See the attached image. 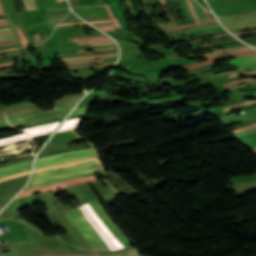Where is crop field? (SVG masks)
<instances>
[{
    "mask_svg": "<svg viewBox=\"0 0 256 256\" xmlns=\"http://www.w3.org/2000/svg\"><path fill=\"white\" fill-rule=\"evenodd\" d=\"M99 161H90L81 164L71 165L59 169L33 174L32 180L26 188L36 187L44 184L54 183L63 179L74 178L96 172H101ZM25 188V189H26Z\"/></svg>",
    "mask_w": 256,
    "mask_h": 256,
    "instance_id": "8a807250",
    "label": "crop field"
},
{
    "mask_svg": "<svg viewBox=\"0 0 256 256\" xmlns=\"http://www.w3.org/2000/svg\"><path fill=\"white\" fill-rule=\"evenodd\" d=\"M97 206V208L100 210V212L102 213V215L105 217V219L107 220L108 224L118 233V235L125 241H124L115 233V231L107 224V222L105 221V219L101 216L100 212L98 211V209L95 207V205ZM95 210L96 214L98 215V217L102 220V222L106 225V227L111 231V233L123 244V246L115 239V237L109 232V230L103 225V223L100 221V219L96 216V214L93 212V210L90 208V206ZM82 207H80V209L82 210V212L84 213L86 219L91 223V225L96 229L97 233L99 234V236L106 242V244L108 245V247L110 248V250H116V249H120L123 247H126L128 245H131V243L126 239V237L121 233V231L113 224V222L107 217V215L104 213V211L102 210V208L100 207V205L98 204L97 201L95 202H90ZM98 223V225L104 230V232L108 235V237L111 239V241L114 243V245L117 247H115L112 242L109 240V238L106 236V234L101 230V228L94 222V220Z\"/></svg>",
    "mask_w": 256,
    "mask_h": 256,
    "instance_id": "ac0d7876",
    "label": "crop field"
},
{
    "mask_svg": "<svg viewBox=\"0 0 256 256\" xmlns=\"http://www.w3.org/2000/svg\"><path fill=\"white\" fill-rule=\"evenodd\" d=\"M77 101L65 102L54 106V110L43 112L40 108L7 115L11 125L18 127L29 123L46 121L65 116Z\"/></svg>",
    "mask_w": 256,
    "mask_h": 256,
    "instance_id": "34b2d1b8",
    "label": "crop field"
},
{
    "mask_svg": "<svg viewBox=\"0 0 256 256\" xmlns=\"http://www.w3.org/2000/svg\"><path fill=\"white\" fill-rule=\"evenodd\" d=\"M70 220L79 228L92 250H109L95 229L85 219L79 208L65 212Z\"/></svg>",
    "mask_w": 256,
    "mask_h": 256,
    "instance_id": "412701ff",
    "label": "crop field"
},
{
    "mask_svg": "<svg viewBox=\"0 0 256 256\" xmlns=\"http://www.w3.org/2000/svg\"><path fill=\"white\" fill-rule=\"evenodd\" d=\"M68 154H72V155L58 157V156L68 155ZM93 154H96V152H95L94 148L92 147V148H86V149H79V150H75V151H71V152L54 154V155H50V156L43 157V158H38L35 161V169L40 168V167H45V166H50V165H55V164H60V163H64V162L87 158Z\"/></svg>",
    "mask_w": 256,
    "mask_h": 256,
    "instance_id": "f4fd0767",
    "label": "crop field"
},
{
    "mask_svg": "<svg viewBox=\"0 0 256 256\" xmlns=\"http://www.w3.org/2000/svg\"><path fill=\"white\" fill-rule=\"evenodd\" d=\"M251 55H256V51L251 50V51H245V52H239V53H233V54H224V55L213 57L211 59H207L204 62L193 63L189 66H185V68L193 69V68L201 67V66L216 62V61L224 59V58H229L231 56L242 57V56H251Z\"/></svg>",
    "mask_w": 256,
    "mask_h": 256,
    "instance_id": "dd49c442",
    "label": "crop field"
},
{
    "mask_svg": "<svg viewBox=\"0 0 256 256\" xmlns=\"http://www.w3.org/2000/svg\"><path fill=\"white\" fill-rule=\"evenodd\" d=\"M31 169V161L10 165V166H4L0 167V178L3 176L27 171Z\"/></svg>",
    "mask_w": 256,
    "mask_h": 256,
    "instance_id": "e52e79f7",
    "label": "crop field"
},
{
    "mask_svg": "<svg viewBox=\"0 0 256 256\" xmlns=\"http://www.w3.org/2000/svg\"><path fill=\"white\" fill-rule=\"evenodd\" d=\"M59 123L60 122L50 123V124H46V125H42L34 128L24 129V131L29 135V137H32V136L53 131Z\"/></svg>",
    "mask_w": 256,
    "mask_h": 256,
    "instance_id": "d8731c3e",
    "label": "crop field"
},
{
    "mask_svg": "<svg viewBox=\"0 0 256 256\" xmlns=\"http://www.w3.org/2000/svg\"><path fill=\"white\" fill-rule=\"evenodd\" d=\"M187 1H188V4H189V7H190V9H191V12H192V14H193V16H194V18H195L196 23H195V24H191V25L186 26V27L179 28V29H177V30H171V31H165V32H167V33L176 32V31H181V30H185V29H188V28H192V27H195V26H198V25L212 24V23H216V22H217L216 19L211 20L210 17H209V15H208L207 10H205V9L203 8L204 13H205V15H206L208 21L199 23V21H198V19H197V17H196V14H195V12H194V9H193V7H192L191 1H190V0H187Z\"/></svg>",
    "mask_w": 256,
    "mask_h": 256,
    "instance_id": "5a996713",
    "label": "crop field"
},
{
    "mask_svg": "<svg viewBox=\"0 0 256 256\" xmlns=\"http://www.w3.org/2000/svg\"><path fill=\"white\" fill-rule=\"evenodd\" d=\"M252 48L248 47V46H241V47H230V48H224V49H220L211 53H205V54H201L200 56H204V57H212V56H216L225 52H235V51H243V50H251Z\"/></svg>",
    "mask_w": 256,
    "mask_h": 256,
    "instance_id": "3316defc",
    "label": "crop field"
},
{
    "mask_svg": "<svg viewBox=\"0 0 256 256\" xmlns=\"http://www.w3.org/2000/svg\"><path fill=\"white\" fill-rule=\"evenodd\" d=\"M218 26H220L219 23L213 24V25L199 26V27L192 28V29L185 30V31H181V32L167 34V36L169 38L178 37V36H182V35H185V34H188V33H191V32H195V31H198V30H202V29H206V28H212V27H218Z\"/></svg>",
    "mask_w": 256,
    "mask_h": 256,
    "instance_id": "28ad6ade",
    "label": "crop field"
},
{
    "mask_svg": "<svg viewBox=\"0 0 256 256\" xmlns=\"http://www.w3.org/2000/svg\"><path fill=\"white\" fill-rule=\"evenodd\" d=\"M51 42V51H39L42 53H48V54H59V40L56 34V30L53 33L51 37H49Z\"/></svg>",
    "mask_w": 256,
    "mask_h": 256,
    "instance_id": "d1516ede",
    "label": "crop field"
},
{
    "mask_svg": "<svg viewBox=\"0 0 256 256\" xmlns=\"http://www.w3.org/2000/svg\"><path fill=\"white\" fill-rule=\"evenodd\" d=\"M237 67H241L240 69L236 70V71H244V70H253L256 69V63H251V64H243V65H236ZM236 71H227V72H221V73H217V74H213V75H209L210 77L214 78L216 76H220V75H224V74H228V73H232V72H236Z\"/></svg>",
    "mask_w": 256,
    "mask_h": 256,
    "instance_id": "22f410ed",
    "label": "crop field"
},
{
    "mask_svg": "<svg viewBox=\"0 0 256 256\" xmlns=\"http://www.w3.org/2000/svg\"><path fill=\"white\" fill-rule=\"evenodd\" d=\"M250 62H256V56L252 57H244V58H234L232 60H229V64H240V63H250Z\"/></svg>",
    "mask_w": 256,
    "mask_h": 256,
    "instance_id": "cbeb9de0",
    "label": "crop field"
},
{
    "mask_svg": "<svg viewBox=\"0 0 256 256\" xmlns=\"http://www.w3.org/2000/svg\"><path fill=\"white\" fill-rule=\"evenodd\" d=\"M95 159H97V156L93 157V158L84 159V160H79V161L64 163V164H60V165H55V166L36 169L35 172H39V171H43V170H47V169H51V168H56V167H61V166H65V165H70V164H74V163L84 162V161H88V160H95Z\"/></svg>",
    "mask_w": 256,
    "mask_h": 256,
    "instance_id": "5142ce71",
    "label": "crop field"
},
{
    "mask_svg": "<svg viewBox=\"0 0 256 256\" xmlns=\"http://www.w3.org/2000/svg\"><path fill=\"white\" fill-rule=\"evenodd\" d=\"M81 118H82V117H81ZM81 118H77V119H72V120L66 121V122L59 128L58 131H62V130H65V129L74 128L75 125L77 124V122H78Z\"/></svg>",
    "mask_w": 256,
    "mask_h": 256,
    "instance_id": "d9b57169",
    "label": "crop field"
},
{
    "mask_svg": "<svg viewBox=\"0 0 256 256\" xmlns=\"http://www.w3.org/2000/svg\"><path fill=\"white\" fill-rule=\"evenodd\" d=\"M25 138H27L26 134L22 133V134H19L17 136H14V137L1 139L0 140V145L5 144V143H9V142H13V141H17V140H21V139H25Z\"/></svg>",
    "mask_w": 256,
    "mask_h": 256,
    "instance_id": "733c2abd",
    "label": "crop field"
},
{
    "mask_svg": "<svg viewBox=\"0 0 256 256\" xmlns=\"http://www.w3.org/2000/svg\"><path fill=\"white\" fill-rule=\"evenodd\" d=\"M99 256H140L139 252L136 248L131 249L129 251L119 253V254H114V255H99Z\"/></svg>",
    "mask_w": 256,
    "mask_h": 256,
    "instance_id": "4a817a6b",
    "label": "crop field"
},
{
    "mask_svg": "<svg viewBox=\"0 0 256 256\" xmlns=\"http://www.w3.org/2000/svg\"><path fill=\"white\" fill-rule=\"evenodd\" d=\"M193 5H194V9H195V12H196V14L198 16L199 21L200 22L201 21H205L206 18H205V15L203 13L202 8L198 4H193Z\"/></svg>",
    "mask_w": 256,
    "mask_h": 256,
    "instance_id": "bc2a9ffb",
    "label": "crop field"
},
{
    "mask_svg": "<svg viewBox=\"0 0 256 256\" xmlns=\"http://www.w3.org/2000/svg\"><path fill=\"white\" fill-rule=\"evenodd\" d=\"M26 10L37 9L34 0H23Z\"/></svg>",
    "mask_w": 256,
    "mask_h": 256,
    "instance_id": "214f88e0",
    "label": "crop field"
},
{
    "mask_svg": "<svg viewBox=\"0 0 256 256\" xmlns=\"http://www.w3.org/2000/svg\"><path fill=\"white\" fill-rule=\"evenodd\" d=\"M228 36H231V35L230 34H224V35L209 36V37H204V38H201V39L193 40V41H190V42H186V44L190 45V44H193V43H196L198 41H201V40H204V39H208V38L228 37Z\"/></svg>",
    "mask_w": 256,
    "mask_h": 256,
    "instance_id": "92a150f3",
    "label": "crop field"
},
{
    "mask_svg": "<svg viewBox=\"0 0 256 256\" xmlns=\"http://www.w3.org/2000/svg\"><path fill=\"white\" fill-rule=\"evenodd\" d=\"M89 106L87 107H79V108H75V110L72 112L71 115H74V114H82V113H86L87 110H88Z\"/></svg>",
    "mask_w": 256,
    "mask_h": 256,
    "instance_id": "dafd665d",
    "label": "crop field"
},
{
    "mask_svg": "<svg viewBox=\"0 0 256 256\" xmlns=\"http://www.w3.org/2000/svg\"><path fill=\"white\" fill-rule=\"evenodd\" d=\"M8 127H11V126L7 123L5 116L0 117V129H4Z\"/></svg>",
    "mask_w": 256,
    "mask_h": 256,
    "instance_id": "00972430",
    "label": "crop field"
},
{
    "mask_svg": "<svg viewBox=\"0 0 256 256\" xmlns=\"http://www.w3.org/2000/svg\"><path fill=\"white\" fill-rule=\"evenodd\" d=\"M28 173H30V171L24 172V173H20V174H16V175H12V176H8V177H4V178L0 179V182L4 181V180H9V179L17 178V177H20V176H24V175H26Z\"/></svg>",
    "mask_w": 256,
    "mask_h": 256,
    "instance_id": "a9b5d70f",
    "label": "crop field"
},
{
    "mask_svg": "<svg viewBox=\"0 0 256 256\" xmlns=\"http://www.w3.org/2000/svg\"><path fill=\"white\" fill-rule=\"evenodd\" d=\"M87 21H95V20H106L110 19V16H103V17H89V18H84Z\"/></svg>",
    "mask_w": 256,
    "mask_h": 256,
    "instance_id": "4177f3b9",
    "label": "crop field"
},
{
    "mask_svg": "<svg viewBox=\"0 0 256 256\" xmlns=\"http://www.w3.org/2000/svg\"><path fill=\"white\" fill-rule=\"evenodd\" d=\"M113 26H114L113 24H110V25H102V26H97V27L103 31H107V30L115 29Z\"/></svg>",
    "mask_w": 256,
    "mask_h": 256,
    "instance_id": "730fd06b",
    "label": "crop field"
},
{
    "mask_svg": "<svg viewBox=\"0 0 256 256\" xmlns=\"http://www.w3.org/2000/svg\"><path fill=\"white\" fill-rule=\"evenodd\" d=\"M15 27H16V29H17V31H18L20 37H21V41H22L23 47L26 46V45H27V40H26V38H24V36H23L22 32L20 31V29L18 28V26H15Z\"/></svg>",
    "mask_w": 256,
    "mask_h": 256,
    "instance_id": "eef30255",
    "label": "crop field"
},
{
    "mask_svg": "<svg viewBox=\"0 0 256 256\" xmlns=\"http://www.w3.org/2000/svg\"><path fill=\"white\" fill-rule=\"evenodd\" d=\"M161 3H162V6H163V8H164V10H165V12H166V14H167V16L170 18V20L172 21L173 25H175V23H174V21H173L171 15H170V13L168 12V10H167V8H166V5H165L164 0H161Z\"/></svg>",
    "mask_w": 256,
    "mask_h": 256,
    "instance_id": "ae1a2a85",
    "label": "crop field"
},
{
    "mask_svg": "<svg viewBox=\"0 0 256 256\" xmlns=\"http://www.w3.org/2000/svg\"><path fill=\"white\" fill-rule=\"evenodd\" d=\"M254 79L253 78H249V79H243V80H237V81H234V82H231V83H228V84H224L226 87L230 86V85H233V84H236V83H240V82H243V81H253Z\"/></svg>",
    "mask_w": 256,
    "mask_h": 256,
    "instance_id": "d3111659",
    "label": "crop field"
},
{
    "mask_svg": "<svg viewBox=\"0 0 256 256\" xmlns=\"http://www.w3.org/2000/svg\"><path fill=\"white\" fill-rule=\"evenodd\" d=\"M254 73H256V71L237 72V73L229 74V76L232 77V76H236V75H239V74H254Z\"/></svg>",
    "mask_w": 256,
    "mask_h": 256,
    "instance_id": "750c4746",
    "label": "crop field"
},
{
    "mask_svg": "<svg viewBox=\"0 0 256 256\" xmlns=\"http://www.w3.org/2000/svg\"><path fill=\"white\" fill-rule=\"evenodd\" d=\"M21 222H23L25 225H27V226L33 228L34 230L38 231L39 233H41L40 229L36 228L35 226H33L32 224L28 223L27 221L23 220Z\"/></svg>",
    "mask_w": 256,
    "mask_h": 256,
    "instance_id": "bd1437ed",
    "label": "crop field"
},
{
    "mask_svg": "<svg viewBox=\"0 0 256 256\" xmlns=\"http://www.w3.org/2000/svg\"><path fill=\"white\" fill-rule=\"evenodd\" d=\"M253 125H256V124H253ZM253 125H251V126H253ZM253 127H255V126H253ZM249 128H252V127L246 126V127L241 128V129L231 130V133H236V132L243 131V130H246V129H249Z\"/></svg>",
    "mask_w": 256,
    "mask_h": 256,
    "instance_id": "1d83c4d3",
    "label": "crop field"
},
{
    "mask_svg": "<svg viewBox=\"0 0 256 256\" xmlns=\"http://www.w3.org/2000/svg\"><path fill=\"white\" fill-rule=\"evenodd\" d=\"M109 57H117V55L108 56V57H97V58H109ZM97 58H90V59H97ZM90 59H75V60H66V61H79V60H90ZM66 61H63V62H66Z\"/></svg>",
    "mask_w": 256,
    "mask_h": 256,
    "instance_id": "120bbe31",
    "label": "crop field"
},
{
    "mask_svg": "<svg viewBox=\"0 0 256 256\" xmlns=\"http://www.w3.org/2000/svg\"><path fill=\"white\" fill-rule=\"evenodd\" d=\"M113 40H107V41H90V42H81L79 45H84V44H91V43H99V42H109Z\"/></svg>",
    "mask_w": 256,
    "mask_h": 256,
    "instance_id": "d32e631a",
    "label": "crop field"
},
{
    "mask_svg": "<svg viewBox=\"0 0 256 256\" xmlns=\"http://www.w3.org/2000/svg\"><path fill=\"white\" fill-rule=\"evenodd\" d=\"M33 37H34V43H35V45H38L39 43H41V41H40V38H39V35L37 34V35H33Z\"/></svg>",
    "mask_w": 256,
    "mask_h": 256,
    "instance_id": "5866460e",
    "label": "crop field"
},
{
    "mask_svg": "<svg viewBox=\"0 0 256 256\" xmlns=\"http://www.w3.org/2000/svg\"><path fill=\"white\" fill-rule=\"evenodd\" d=\"M239 106H242V104H241V103H239V104L234 105V106H231V107L223 108V110H224V112H225V111H228V110H231V109L237 108V107H239Z\"/></svg>",
    "mask_w": 256,
    "mask_h": 256,
    "instance_id": "028f5c9d",
    "label": "crop field"
},
{
    "mask_svg": "<svg viewBox=\"0 0 256 256\" xmlns=\"http://www.w3.org/2000/svg\"><path fill=\"white\" fill-rule=\"evenodd\" d=\"M97 35H104V34H97ZM90 36H96V35H89V36H87V35H82V36H74V37H90ZM70 38H72V37H70ZM60 39H68V37H62V38H60Z\"/></svg>",
    "mask_w": 256,
    "mask_h": 256,
    "instance_id": "e1f06a70",
    "label": "crop field"
},
{
    "mask_svg": "<svg viewBox=\"0 0 256 256\" xmlns=\"http://www.w3.org/2000/svg\"><path fill=\"white\" fill-rule=\"evenodd\" d=\"M20 28H21V30H22V32H23V34H24V36H26V38H27V40H28V45H31V43H30V39H29V37H28V35H27L26 31H25L22 27H20Z\"/></svg>",
    "mask_w": 256,
    "mask_h": 256,
    "instance_id": "0bd39190",
    "label": "crop field"
},
{
    "mask_svg": "<svg viewBox=\"0 0 256 256\" xmlns=\"http://www.w3.org/2000/svg\"><path fill=\"white\" fill-rule=\"evenodd\" d=\"M184 2H185V5H186V8H187V11H188V13H189L190 19H191L192 22L194 23V20H193V18H192V14H191V12H190V10H189V8H188V5H187L186 0H184Z\"/></svg>",
    "mask_w": 256,
    "mask_h": 256,
    "instance_id": "b80d0937",
    "label": "crop field"
},
{
    "mask_svg": "<svg viewBox=\"0 0 256 256\" xmlns=\"http://www.w3.org/2000/svg\"><path fill=\"white\" fill-rule=\"evenodd\" d=\"M106 36H97V37H91V38H73V39H70V40H78V39H92V38H104Z\"/></svg>",
    "mask_w": 256,
    "mask_h": 256,
    "instance_id": "c035e120",
    "label": "crop field"
},
{
    "mask_svg": "<svg viewBox=\"0 0 256 256\" xmlns=\"http://www.w3.org/2000/svg\"><path fill=\"white\" fill-rule=\"evenodd\" d=\"M255 32H256V30L255 31H246V32H236L234 34L235 35H240V34L255 33Z\"/></svg>",
    "mask_w": 256,
    "mask_h": 256,
    "instance_id": "c21b1889",
    "label": "crop field"
},
{
    "mask_svg": "<svg viewBox=\"0 0 256 256\" xmlns=\"http://www.w3.org/2000/svg\"><path fill=\"white\" fill-rule=\"evenodd\" d=\"M108 64H114V63H105L102 65H108ZM86 66H100V65H85V66H73V67H86ZM66 68H71V67H66Z\"/></svg>",
    "mask_w": 256,
    "mask_h": 256,
    "instance_id": "03da06ac",
    "label": "crop field"
},
{
    "mask_svg": "<svg viewBox=\"0 0 256 256\" xmlns=\"http://www.w3.org/2000/svg\"><path fill=\"white\" fill-rule=\"evenodd\" d=\"M85 22H78V23H65V24H58V26L61 25H69V24H84Z\"/></svg>",
    "mask_w": 256,
    "mask_h": 256,
    "instance_id": "b54c1fbb",
    "label": "crop field"
},
{
    "mask_svg": "<svg viewBox=\"0 0 256 256\" xmlns=\"http://www.w3.org/2000/svg\"><path fill=\"white\" fill-rule=\"evenodd\" d=\"M253 103H256V101H246V102H243L242 104L249 105V104H253Z\"/></svg>",
    "mask_w": 256,
    "mask_h": 256,
    "instance_id": "5d738f31",
    "label": "crop field"
},
{
    "mask_svg": "<svg viewBox=\"0 0 256 256\" xmlns=\"http://www.w3.org/2000/svg\"><path fill=\"white\" fill-rule=\"evenodd\" d=\"M114 48H117V47H114ZM114 48H101V49H114ZM87 50H99V49H87ZM87 50H80V51H87ZM80 51H77V52H80Z\"/></svg>",
    "mask_w": 256,
    "mask_h": 256,
    "instance_id": "d23c7cc5",
    "label": "crop field"
},
{
    "mask_svg": "<svg viewBox=\"0 0 256 256\" xmlns=\"http://www.w3.org/2000/svg\"><path fill=\"white\" fill-rule=\"evenodd\" d=\"M107 39H110V38H105V39H92V40H107ZM79 41H88V40H78V41H73V42H79Z\"/></svg>",
    "mask_w": 256,
    "mask_h": 256,
    "instance_id": "425ffa30",
    "label": "crop field"
},
{
    "mask_svg": "<svg viewBox=\"0 0 256 256\" xmlns=\"http://www.w3.org/2000/svg\"><path fill=\"white\" fill-rule=\"evenodd\" d=\"M94 61H102V60H94ZM79 62H92V61H79ZM79 62H68L66 64H70V63H79Z\"/></svg>",
    "mask_w": 256,
    "mask_h": 256,
    "instance_id": "25e5ab78",
    "label": "crop field"
},
{
    "mask_svg": "<svg viewBox=\"0 0 256 256\" xmlns=\"http://www.w3.org/2000/svg\"><path fill=\"white\" fill-rule=\"evenodd\" d=\"M107 44H115V43H101V44H93V45H90V46H94V45H107Z\"/></svg>",
    "mask_w": 256,
    "mask_h": 256,
    "instance_id": "73cf0c24",
    "label": "crop field"
},
{
    "mask_svg": "<svg viewBox=\"0 0 256 256\" xmlns=\"http://www.w3.org/2000/svg\"><path fill=\"white\" fill-rule=\"evenodd\" d=\"M108 21H112V20H107V21H96V22H90V23H100V22H108Z\"/></svg>",
    "mask_w": 256,
    "mask_h": 256,
    "instance_id": "89e229c0",
    "label": "crop field"
},
{
    "mask_svg": "<svg viewBox=\"0 0 256 256\" xmlns=\"http://www.w3.org/2000/svg\"><path fill=\"white\" fill-rule=\"evenodd\" d=\"M0 14H4L1 4H0Z\"/></svg>",
    "mask_w": 256,
    "mask_h": 256,
    "instance_id": "1f2cbd36",
    "label": "crop field"
},
{
    "mask_svg": "<svg viewBox=\"0 0 256 256\" xmlns=\"http://www.w3.org/2000/svg\"><path fill=\"white\" fill-rule=\"evenodd\" d=\"M207 2L209 3V5L214 4L212 0H207Z\"/></svg>",
    "mask_w": 256,
    "mask_h": 256,
    "instance_id": "dbb93151",
    "label": "crop field"
},
{
    "mask_svg": "<svg viewBox=\"0 0 256 256\" xmlns=\"http://www.w3.org/2000/svg\"><path fill=\"white\" fill-rule=\"evenodd\" d=\"M16 38H13V39H9V40H0V42H3V41H10V40H15Z\"/></svg>",
    "mask_w": 256,
    "mask_h": 256,
    "instance_id": "0fb4a251",
    "label": "crop field"
},
{
    "mask_svg": "<svg viewBox=\"0 0 256 256\" xmlns=\"http://www.w3.org/2000/svg\"><path fill=\"white\" fill-rule=\"evenodd\" d=\"M250 93L256 92V89L249 90Z\"/></svg>",
    "mask_w": 256,
    "mask_h": 256,
    "instance_id": "1d79db26",
    "label": "crop field"
},
{
    "mask_svg": "<svg viewBox=\"0 0 256 256\" xmlns=\"http://www.w3.org/2000/svg\"><path fill=\"white\" fill-rule=\"evenodd\" d=\"M12 35H14V34H10V35H4V36H0V37H6V36H12Z\"/></svg>",
    "mask_w": 256,
    "mask_h": 256,
    "instance_id": "9d1cf04e",
    "label": "crop field"
},
{
    "mask_svg": "<svg viewBox=\"0 0 256 256\" xmlns=\"http://www.w3.org/2000/svg\"><path fill=\"white\" fill-rule=\"evenodd\" d=\"M15 51H18V50H15ZM8 52H14V51H8ZM8 52H1V53H8ZM1 53H0V54H1Z\"/></svg>",
    "mask_w": 256,
    "mask_h": 256,
    "instance_id": "447ae74e",
    "label": "crop field"
},
{
    "mask_svg": "<svg viewBox=\"0 0 256 256\" xmlns=\"http://www.w3.org/2000/svg\"><path fill=\"white\" fill-rule=\"evenodd\" d=\"M252 151L255 153V155H256V149H252Z\"/></svg>",
    "mask_w": 256,
    "mask_h": 256,
    "instance_id": "0765c3eb",
    "label": "crop field"
},
{
    "mask_svg": "<svg viewBox=\"0 0 256 256\" xmlns=\"http://www.w3.org/2000/svg\"><path fill=\"white\" fill-rule=\"evenodd\" d=\"M13 37H15V36H12V37H8V38H13ZM0 39H7V38H0Z\"/></svg>",
    "mask_w": 256,
    "mask_h": 256,
    "instance_id": "db79e9e6",
    "label": "crop field"
},
{
    "mask_svg": "<svg viewBox=\"0 0 256 256\" xmlns=\"http://www.w3.org/2000/svg\"><path fill=\"white\" fill-rule=\"evenodd\" d=\"M12 64V63H11ZM8 65H10V64H7V65H1L0 67H3V66H8Z\"/></svg>",
    "mask_w": 256,
    "mask_h": 256,
    "instance_id": "7b73153f",
    "label": "crop field"
},
{
    "mask_svg": "<svg viewBox=\"0 0 256 256\" xmlns=\"http://www.w3.org/2000/svg\"><path fill=\"white\" fill-rule=\"evenodd\" d=\"M44 256H47V255H44ZM89 256H98V255H89Z\"/></svg>",
    "mask_w": 256,
    "mask_h": 256,
    "instance_id": "78b8030e",
    "label": "crop field"
},
{
    "mask_svg": "<svg viewBox=\"0 0 256 256\" xmlns=\"http://www.w3.org/2000/svg\"><path fill=\"white\" fill-rule=\"evenodd\" d=\"M252 96H256V93L251 94Z\"/></svg>",
    "mask_w": 256,
    "mask_h": 256,
    "instance_id": "0f1d7ab4",
    "label": "crop field"
},
{
    "mask_svg": "<svg viewBox=\"0 0 256 256\" xmlns=\"http://www.w3.org/2000/svg\"><path fill=\"white\" fill-rule=\"evenodd\" d=\"M16 43H18V42H16ZM11 44H14V43H11ZM2 45H7V44H2ZM1 46V45H0Z\"/></svg>",
    "mask_w": 256,
    "mask_h": 256,
    "instance_id": "e1d0b9f6",
    "label": "crop field"
},
{
    "mask_svg": "<svg viewBox=\"0 0 256 256\" xmlns=\"http://www.w3.org/2000/svg\"><path fill=\"white\" fill-rule=\"evenodd\" d=\"M8 24V23H7ZM7 24H0V26L7 25Z\"/></svg>",
    "mask_w": 256,
    "mask_h": 256,
    "instance_id": "ae633e8c",
    "label": "crop field"
},
{
    "mask_svg": "<svg viewBox=\"0 0 256 256\" xmlns=\"http://www.w3.org/2000/svg\"><path fill=\"white\" fill-rule=\"evenodd\" d=\"M7 29H10V28H6V29H0V30H7Z\"/></svg>",
    "mask_w": 256,
    "mask_h": 256,
    "instance_id": "d14b1444",
    "label": "crop field"
},
{
    "mask_svg": "<svg viewBox=\"0 0 256 256\" xmlns=\"http://www.w3.org/2000/svg\"><path fill=\"white\" fill-rule=\"evenodd\" d=\"M7 21H3V22H0V23H6Z\"/></svg>",
    "mask_w": 256,
    "mask_h": 256,
    "instance_id": "c39391a2",
    "label": "crop field"
},
{
    "mask_svg": "<svg viewBox=\"0 0 256 256\" xmlns=\"http://www.w3.org/2000/svg\"><path fill=\"white\" fill-rule=\"evenodd\" d=\"M12 60H14V59H12ZM6 61H9V60H6ZM0 62H5V61H0Z\"/></svg>",
    "mask_w": 256,
    "mask_h": 256,
    "instance_id": "ade564c9",
    "label": "crop field"
},
{
    "mask_svg": "<svg viewBox=\"0 0 256 256\" xmlns=\"http://www.w3.org/2000/svg\"><path fill=\"white\" fill-rule=\"evenodd\" d=\"M8 31H11V30H8ZM8 31H2V32H8Z\"/></svg>",
    "mask_w": 256,
    "mask_h": 256,
    "instance_id": "c5b07064",
    "label": "crop field"
},
{
    "mask_svg": "<svg viewBox=\"0 0 256 256\" xmlns=\"http://www.w3.org/2000/svg\"><path fill=\"white\" fill-rule=\"evenodd\" d=\"M58 2H60V1H64V0H57Z\"/></svg>",
    "mask_w": 256,
    "mask_h": 256,
    "instance_id": "c3a83c6f",
    "label": "crop field"
},
{
    "mask_svg": "<svg viewBox=\"0 0 256 256\" xmlns=\"http://www.w3.org/2000/svg\"><path fill=\"white\" fill-rule=\"evenodd\" d=\"M2 20H6V19H2ZM2 20H0V21H2Z\"/></svg>",
    "mask_w": 256,
    "mask_h": 256,
    "instance_id": "fb207236",
    "label": "crop field"
},
{
    "mask_svg": "<svg viewBox=\"0 0 256 256\" xmlns=\"http://www.w3.org/2000/svg\"><path fill=\"white\" fill-rule=\"evenodd\" d=\"M253 46H255V47H256V45H253Z\"/></svg>",
    "mask_w": 256,
    "mask_h": 256,
    "instance_id": "7312dd0a",
    "label": "crop field"
},
{
    "mask_svg": "<svg viewBox=\"0 0 256 256\" xmlns=\"http://www.w3.org/2000/svg\"><path fill=\"white\" fill-rule=\"evenodd\" d=\"M2 55H4V54H2Z\"/></svg>",
    "mask_w": 256,
    "mask_h": 256,
    "instance_id": "180be81f",
    "label": "crop field"
}]
</instances>
